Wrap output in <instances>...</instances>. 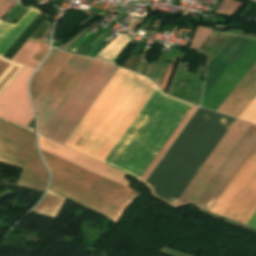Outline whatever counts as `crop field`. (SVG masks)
I'll return each mask as SVG.
<instances>
[{
	"mask_svg": "<svg viewBox=\"0 0 256 256\" xmlns=\"http://www.w3.org/2000/svg\"><path fill=\"white\" fill-rule=\"evenodd\" d=\"M117 70L95 60L42 135L64 144ZM156 88L119 68L65 145L104 162Z\"/></svg>",
	"mask_w": 256,
	"mask_h": 256,
	"instance_id": "1",
	"label": "crop field"
},
{
	"mask_svg": "<svg viewBox=\"0 0 256 256\" xmlns=\"http://www.w3.org/2000/svg\"><path fill=\"white\" fill-rule=\"evenodd\" d=\"M233 121L199 108L147 179L155 194L174 204Z\"/></svg>",
	"mask_w": 256,
	"mask_h": 256,
	"instance_id": "2",
	"label": "crop field"
},
{
	"mask_svg": "<svg viewBox=\"0 0 256 256\" xmlns=\"http://www.w3.org/2000/svg\"><path fill=\"white\" fill-rule=\"evenodd\" d=\"M190 107L157 88L105 163L139 179Z\"/></svg>",
	"mask_w": 256,
	"mask_h": 256,
	"instance_id": "3",
	"label": "crop field"
},
{
	"mask_svg": "<svg viewBox=\"0 0 256 256\" xmlns=\"http://www.w3.org/2000/svg\"><path fill=\"white\" fill-rule=\"evenodd\" d=\"M252 39L232 35L207 66L204 96L213 88ZM256 62V39L247 46L233 65L202 101L201 106L216 111L243 76ZM256 96V63L231 92L217 112L238 118Z\"/></svg>",
	"mask_w": 256,
	"mask_h": 256,
	"instance_id": "4",
	"label": "crop field"
},
{
	"mask_svg": "<svg viewBox=\"0 0 256 256\" xmlns=\"http://www.w3.org/2000/svg\"><path fill=\"white\" fill-rule=\"evenodd\" d=\"M255 146L256 125L235 119L173 207L209 211Z\"/></svg>",
	"mask_w": 256,
	"mask_h": 256,
	"instance_id": "5",
	"label": "crop field"
},
{
	"mask_svg": "<svg viewBox=\"0 0 256 256\" xmlns=\"http://www.w3.org/2000/svg\"><path fill=\"white\" fill-rule=\"evenodd\" d=\"M40 152L52 173L50 189L104 214L116 223L133 200L141 195L129 186L124 188L41 149Z\"/></svg>",
	"mask_w": 256,
	"mask_h": 256,
	"instance_id": "6",
	"label": "crop field"
},
{
	"mask_svg": "<svg viewBox=\"0 0 256 256\" xmlns=\"http://www.w3.org/2000/svg\"><path fill=\"white\" fill-rule=\"evenodd\" d=\"M0 163L23 168L17 186L44 191L48 173L34 134L0 121Z\"/></svg>",
	"mask_w": 256,
	"mask_h": 256,
	"instance_id": "7",
	"label": "crop field"
},
{
	"mask_svg": "<svg viewBox=\"0 0 256 256\" xmlns=\"http://www.w3.org/2000/svg\"><path fill=\"white\" fill-rule=\"evenodd\" d=\"M94 60L68 53L34 102L40 134Z\"/></svg>",
	"mask_w": 256,
	"mask_h": 256,
	"instance_id": "8",
	"label": "crop field"
},
{
	"mask_svg": "<svg viewBox=\"0 0 256 256\" xmlns=\"http://www.w3.org/2000/svg\"><path fill=\"white\" fill-rule=\"evenodd\" d=\"M256 211V147L210 209L247 224ZM256 226V213L248 222Z\"/></svg>",
	"mask_w": 256,
	"mask_h": 256,
	"instance_id": "9",
	"label": "crop field"
},
{
	"mask_svg": "<svg viewBox=\"0 0 256 256\" xmlns=\"http://www.w3.org/2000/svg\"><path fill=\"white\" fill-rule=\"evenodd\" d=\"M24 67L0 58V95ZM32 70L25 68L0 96V118L26 126L34 117L27 94V81Z\"/></svg>",
	"mask_w": 256,
	"mask_h": 256,
	"instance_id": "10",
	"label": "crop field"
},
{
	"mask_svg": "<svg viewBox=\"0 0 256 256\" xmlns=\"http://www.w3.org/2000/svg\"><path fill=\"white\" fill-rule=\"evenodd\" d=\"M39 146L41 149L52 153L62 159H65L73 164H76L82 168H85L93 173H96L104 178H107L113 182H116L124 187L130 185L127 180L126 174L110 168L104 164L94 161L88 157L78 154L72 150L62 147L56 143L46 140L39 136Z\"/></svg>",
	"mask_w": 256,
	"mask_h": 256,
	"instance_id": "11",
	"label": "crop field"
},
{
	"mask_svg": "<svg viewBox=\"0 0 256 256\" xmlns=\"http://www.w3.org/2000/svg\"><path fill=\"white\" fill-rule=\"evenodd\" d=\"M15 1L16 0H0V18ZM38 14L39 12L29 9L17 25L0 21V56L5 53Z\"/></svg>",
	"mask_w": 256,
	"mask_h": 256,
	"instance_id": "12",
	"label": "crop field"
},
{
	"mask_svg": "<svg viewBox=\"0 0 256 256\" xmlns=\"http://www.w3.org/2000/svg\"><path fill=\"white\" fill-rule=\"evenodd\" d=\"M66 55L67 53L55 49L50 51L48 57L31 80L30 89L33 101L39 95Z\"/></svg>",
	"mask_w": 256,
	"mask_h": 256,
	"instance_id": "13",
	"label": "crop field"
},
{
	"mask_svg": "<svg viewBox=\"0 0 256 256\" xmlns=\"http://www.w3.org/2000/svg\"><path fill=\"white\" fill-rule=\"evenodd\" d=\"M48 43L27 41L20 51L14 56L12 61L22 64L31 69H36L48 51Z\"/></svg>",
	"mask_w": 256,
	"mask_h": 256,
	"instance_id": "14",
	"label": "crop field"
},
{
	"mask_svg": "<svg viewBox=\"0 0 256 256\" xmlns=\"http://www.w3.org/2000/svg\"><path fill=\"white\" fill-rule=\"evenodd\" d=\"M65 201L66 198L49 190L42 202L33 210V212L55 218Z\"/></svg>",
	"mask_w": 256,
	"mask_h": 256,
	"instance_id": "15",
	"label": "crop field"
},
{
	"mask_svg": "<svg viewBox=\"0 0 256 256\" xmlns=\"http://www.w3.org/2000/svg\"><path fill=\"white\" fill-rule=\"evenodd\" d=\"M196 106L192 105V107L189 109V111L187 112V114L184 116V118L181 120V122L179 123V125L176 127V129L174 130V132L171 134V136L169 137V139L166 141V143L163 145V147L161 148V150L158 152V154L156 155V157L153 159V161L151 162V164L148 166V168L145 170V172L143 173V175L140 177V180L144 181V179L147 177V175L150 173V171L152 170V168L155 166V164L158 162V160L161 158V156L163 155V153L166 151V149L169 147V145L171 144V142L174 140V138L177 136V134L179 133V131L182 129V127L185 125V123L188 121V119L190 118V116L193 114V112L196 110ZM154 169V168H153ZM146 180V179H145Z\"/></svg>",
	"mask_w": 256,
	"mask_h": 256,
	"instance_id": "16",
	"label": "crop field"
},
{
	"mask_svg": "<svg viewBox=\"0 0 256 256\" xmlns=\"http://www.w3.org/2000/svg\"><path fill=\"white\" fill-rule=\"evenodd\" d=\"M129 40L128 36L124 34H120L118 37H116L109 45H107L100 53L99 55L111 61L113 57L120 51V49L127 43ZM122 50V49H121ZM116 57V56H115ZM114 57V58H115Z\"/></svg>",
	"mask_w": 256,
	"mask_h": 256,
	"instance_id": "17",
	"label": "crop field"
},
{
	"mask_svg": "<svg viewBox=\"0 0 256 256\" xmlns=\"http://www.w3.org/2000/svg\"><path fill=\"white\" fill-rule=\"evenodd\" d=\"M176 64L173 63H164V66L162 68V71L156 81V85H158L164 92L166 91L169 81L171 78V75L173 73L174 67Z\"/></svg>",
	"mask_w": 256,
	"mask_h": 256,
	"instance_id": "18",
	"label": "crop field"
},
{
	"mask_svg": "<svg viewBox=\"0 0 256 256\" xmlns=\"http://www.w3.org/2000/svg\"><path fill=\"white\" fill-rule=\"evenodd\" d=\"M211 32L212 30L199 26L193 36L190 47L197 50Z\"/></svg>",
	"mask_w": 256,
	"mask_h": 256,
	"instance_id": "19",
	"label": "crop field"
},
{
	"mask_svg": "<svg viewBox=\"0 0 256 256\" xmlns=\"http://www.w3.org/2000/svg\"><path fill=\"white\" fill-rule=\"evenodd\" d=\"M239 2L235 0H223L216 12L231 15L241 5L242 2Z\"/></svg>",
	"mask_w": 256,
	"mask_h": 256,
	"instance_id": "20",
	"label": "crop field"
},
{
	"mask_svg": "<svg viewBox=\"0 0 256 256\" xmlns=\"http://www.w3.org/2000/svg\"><path fill=\"white\" fill-rule=\"evenodd\" d=\"M239 119H243L246 121L256 123V98L246 108V110L241 114Z\"/></svg>",
	"mask_w": 256,
	"mask_h": 256,
	"instance_id": "21",
	"label": "crop field"
},
{
	"mask_svg": "<svg viewBox=\"0 0 256 256\" xmlns=\"http://www.w3.org/2000/svg\"><path fill=\"white\" fill-rule=\"evenodd\" d=\"M93 33H95V32H93L92 30L89 31L86 35H84L82 38H80L78 41H76L68 50L74 52V51L76 50V48H77L82 42H84L90 35H92Z\"/></svg>",
	"mask_w": 256,
	"mask_h": 256,
	"instance_id": "22",
	"label": "crop field"
}]
</instances>
